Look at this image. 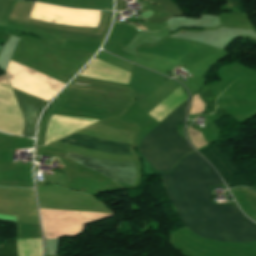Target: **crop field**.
Returning a JSON list of instances; mask_svg holds the SVG:
<instances>
[{"instance_id": "crop-field-1", "label": "crop field", "mask_w": 256, "mask_h": 256, "mask_svg": "<svg viewBox=\"0 0 256 256\" xmlns=\"http://www.w3.org/2000/svg\"><path fill=\"white\" fill-rule=\"evenodd\" d=\"M178 215L196 235L214 241H256V225L237 205H215L209 185L223 184L218 174L197 153L183 158L170 174H161Z\"/></svg>"}, {"instance_id": "crop-field-2", "label": "crop field", "mask_w": 256, "mask_h": 256, "mask_svg": "<svg viewBox=\"0 0 256 256\" xmlns=\"http://www.w3.org/2000/svg\"><path fill=\"white\" fill-rule=\"evenodd\" d=\"M187 103L186 100L147 134L138 149L157 171L170 172L180 158L194 151L176 130L185 122Z\"/></svg>"}, {"instance_id": "crop-field-3", "label": "crop field", "mask_w": 256, "mask_h": 256, "mask_svg": "<svg viewBox=\"0 0 256 256\" xmlns=\"http://www.w3.org/2000/svg\"><path fill=\"white\" fill-rule=\"evenodd\" d=\"M58 142L83 148L94 149L115 154L129 155L133 145L105 141L74 134ZM67 158L109 178L112 181L134 184L136 169L134 164L111 163L94 158L67 153Z\"/></svg>"}, {"instance_id": "crop-field-4", "label": "crop field", "mask_w": 256, "mask_h": 256, "mask_svg": "<svg viewBox=\"0 0 256 256\" xmlns=\"http://www.w3.org/2000/svg\"><path fill=\"white\" fill-rule=\"evenodd\" d=\"M100 11L74 10L35 3L29 18L62 25L97 27Z\"/></svg>"}, {"instance_id": "crop-field-5", "label": "crop field", "mask_w": 256, "mask_h": 256, "mask_svg": "<svg viewBox=\"0 0 256 256\" xmlns=\"http://www.w3.org/2000/svg\"><path fill=\"white\" fill-rule=\"evenodd\" d=\"M12 89L15 93L24 118L23 136L34 137L37 111L46 102V100L13 87Z\"/></svg>"}, {"instance_id": "crop-field-6", "label": "crop field", "mask_w": 256, "mask_h": 256, "mask_svg": "<svg viewBox=\"0 0 256 256\" xmlns=\"http://www.w3.org/2000/svg\"><path fill=\"white\" fill-rule=\"evenodd\" d=\"M186 99L180 87L148 114L160 122Z\"/></svg>"}, {"instance_id": "crop-field-7", "label": "crop field", "mask_w": 256, "mask_h": 256, "mask_svg": "<svg viewBox=\"0 0 256 256\" xmlns=\"http://www.w3.org/2000/svg\"><path fill=\"white\" fill-rule=\"evenodd\" d=\"M0 256H17L15 240H8L0 249Z\"/></svg>"}, {"instance_id": "crop-field-8", "label": "crop field", "mask_w": 256, "mask_h": 256, "mask_svg": "<svg viewBox=\"0 0 256 256\" xmlns=\"http://www.w3.org/2000/svg\"><path fill=\"white\" fill-rule=\"evenodd\" d=\"M2 46L0 45V50H1Z\"/></svg>"}, {"instance_id": "crop-field-9", "label": "crop field", "mask_w": 256, "mask_h": 256, "mask_svg": "<svg viewBox=\"0 0 256 256\" xmlns=\"http://www.w3.org/2000/svg\"><path fill=\"white\" fill-rule=\"evenodd\" d=\"M139 27H141V26H139ZM141 28H143V27H141ZM143 29H145V28H143Z\"/></svg>"}, {"instance_id": "crop-field-10", "label": "crop field", "mask_w": 256, "mask_h": 256, "mask_svg": "<svg viewBox=\"0 0 256 256\" xmlns=\"http://www.w3.org/2000/svg\"><path fill=\"white\" fill-rule=\"evenodd\" d=\"M145 1H147V0H145ZM149 2V1H148ZM151 3V2H150ZM154 4V3H153ZM157 5V4H156Z\"/></svg>"}]
</instances>
